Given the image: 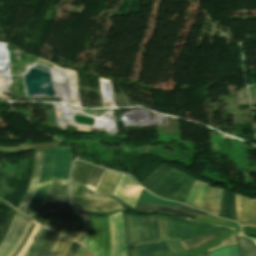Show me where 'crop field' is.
Wrapping results in <instances>:
<instances>
[{"instance_id":"obj_36","label":"crop field","mask_w":256,"mask_h":256,"mask_svg":"<svg viewBox=\"0 0 256 256\" xmlns=\"http://www.w3.org/2000/svg\"><path fill=\"white\" fill-rule=\"evenodd\" d=\"M83 256H94L89 251L85 250Z\"/></svg>"},{"instance_id":"obj_15","label":"crop field","mask_w":256,"mask_h":256,"mask_svg":"<svg viewBox=\"0 0 256 256\" xmlns=\"http://www.w3.org/2000/svg\"><path fill=\"white\" fill-rule=\"evenodd\" d=\"M120 173L105 170L93 195L109 196Z\"/></svg>"},{"instance_id":"obj_1","label":"crop field","mask_w":256,"mask_h":256,"mask_svg":"<svg viewBox=\"0 0 256 256\" xmlns=\"http://www.w3.org/2000/svg\"><path fill=\"white\" fill-rule=\"evenodd\" d=\"M71 154L72 148L66 146L44 149L38 185L24 214L36 219L53 178L68 181Z\"/></svg>"},{"instance_id":"obj_37","label":"crop field","mask_w":256,"mask_h":256,"mask_svg":"<svg viewBox=\"0 0 256 256\" xmlns=\"http://www.w3.org/2000/svg\"><path fill=\"white\" fill-rule=\"evenodd\" d=\"M199 256H209L208 251L203 253V254H201V255H199Z\"/></svg>"},{"instance_id":"obj_27","label":"crop field","mask_w":256,"mask_h":256,"mask_svg":"<svg viewBox=\"0 0 256 256\" xmlns=\"http://www.w3.org/2000/svg\"><path fill=\"white\" fill-rule=\"evenodd\" d=\"M49 231H47L46 229L43 228V230L41 231V233L37 237L32 249L30 250V252L27 256H36L41 244L43 243V241L45 240V238L49 234Z\"/></svg>"},{"instance_id":"obj_2","label":"crop field","mask_w":256,"mask_h":256,"mask_svg":"<svg viewBox=\"0 0 256 256\" xmlns=\"http://www.w3.org/2000/svg\"><path fill=\"white\" fill-rule=\"evenodd\" d=\"M93 169V165L78 162L74 179H70V196L73 208L76 211L93 213H112L124 209L115 198L96 196H80L85 183Z\"/></svg>"},{"instance_id":"obj_26","label":"crop field","mask_w":256,"mask_h":256,"mask_svg":"<svg viewBox=\"0 0 256 256\" xmlns=\"http://www.w3.org/2000/svg\"><path fill=\"white\" fill-rule=\"evenodd\" d=\"M58 234L50 232L49 236L45 240L44 244L42 245L40 251L38 252L37 256H46L49 252L51 246L53 245L56 237Z\"/></svg>"},{"instance_id":"obj_9","label":"crop field","mask_w":256,"mask_h":256,"mask_svg":"<svg viewBox=\"0 0 256 256\" xmlns=\"http://www.w3.org/2000/svg\"><path fill=\"white\" fill-rule=\"evenodd\" d=\"M151 230L154 243L141 244L135 246L137 256H161L169 255V249L166 241L161 242L156 217L152 216Z\"/></svg>"},{"instance_id":"obj_14","label":"crop field","mask_w":256,"mask_h":256,"mask_svg":"<svg viewBox=\"0 0 256 256\" xmlns=\"http://www.w3.org/2000/svg\"><path fill=\"white\" fill-rule=\"evenodd\" d=\"M42 161H43V149H39V150H35V155H34V164H33V170H32V177H31V182L29 184L27 193L19 207L18 210H20L21 212H24L31 196L32 193L36 187L37 184V180H38V176H39V172L41 169V165H42Z\"/></svg>"},{"instance_id":"obj_31","label":"crop field","mask_w":256,"mask_h":256,"mask_svg":"<svg viewBox=\"0 0 256 256\" xmlns=\"http://www.w3.org/2000/svg\"><path fill=\"white\" fill-rule=\"evenodd\" d=\"M122 215H123V220H124L125 235H126V243H127V256H130L129 242H128V236H127L126 223H125V214L122 213Z\"/></svg>"},{"instance_id":"obj_34","label":"crop field","mask_w":256,"mask_h":256,"mask_svg":"<svg viewBox=\"0 0 256 256\" xmlns=\"http://www.w3.org/2000/svg\"><path fill=\"white\" fill-rule=\"evenodd\" d=\"M84 249H85V248H84L83 246H80V248H79V250H78L76 256H82V253H83Z\"/></svg>"},{"instance_id":"obj_12","label":"crop field","mask_w":256,"mask_h":256,"mask_svg":"<svg viewBox=\"0 0 256 256\" xmlns=\"http://www.w3.org/2000/svg\"><path fill=\"white\" fill-rule=\"evenodd\" d=\"M131 232L134 245L140 243L153 242L150 230V216H140L129 215Z\"/></svg>"},{"instance_id":"obj_21","label":"crop field","mask_w":256,"mask_h":256,"mask_svg":"<svg viewBox=\"0 0 256 256\" xmlns=\"http://www.w3.org/2000/svg\"><path fill=\"white\" fill-rule=\"evenodd\" d=\"M170 170H171V168L162 165L154 173H152L145 181H143L140 184V186L149 190L154 184H156Z\"/></svg>"},{"instance_id":"obj_16","label":"crop field","mask_w":256,"mask_h":256,"mask_svg":"<svg viewBox=\"0 0 256 256\" xmlns=\"http://www.w3.org/2000/svg\"><path fill=\"white\" fill-rule=\"evenodd\" d=\"M220 217L230 218L236 220V213L234 207V194L228 191H222L221 199H220Z\"/></svg>"},{"instance_id":"obj_3","label":"crop field","mask_w":256,"mask_h":256,"mask_svg":"<svg viewBox=\"0 0 256 256\" xmlns=\"http://www.w3.org/2000/svg\"><path fill=\"white\" fill-rule=\"evenodd\" d=\"M110 196L116 197L120 203L124 204L133 211L137 202L171 206H176L179 204L162 200L151 195L145 189L139 187L132 177L122 173L120 174Z\"/></svg>"},{"instance_id":"obj_5","label":"crop field","mask_w":256,"mask_h":256,"mask_svg":"<svg viewBox=\"0 0 256 256\" xmlns=\"http://www.w3.org/2000/svg\"><path fill=\"white\" fill-rule=\"evenodd\" d=\"M163 222L167 239L178 237L180 241L219 231L232 230V228L226 226L191 222L169 216H163Z\"/></svg>"},{"instance_id":"obj_11","label":"crop field","mask_w":256,"mask_h":256,"mask_svg":"<svg viewBox=\"0 0 256 256\" xmlns=\"http://www.w3.org/2000/svg\"><path fill=\"white\" fill-rule=\"evenodd\" d=\"M235 207L241 227L251 226L256 228V199H247L235 194Z\"/></svg>"},{"instance_id":"obj_17","label":"crop field","mask_w":256,"mask_h":256,"mask_svg":"<svg viewBox=\"0 0 256 256\" xmlns=\"http://www.w3.org/2000/svg\"><path fill=\"white\" fill-rule=\"evenodd\" d=\"M207 188V184L196 180L185 203L201 209Z\"/></svg>"},{"instance_id":"obj_20","label":"crop field","mask_w":256,"mask_h":256,"mask_svg":"<svg viewBox=\"0 0 256 256\" xmlns=\"http://www.w3.org/2000/svg\"><path fill=\"white\" fill-rule=\"evenodd\" d=\"M233 235L237 241L238 253L240 256H256V246L253 242L246 239L239 231Z\"/></svg>"},{"instance_id":"obj_7","label":"crop field","mask_w":256,"mask_h":256,"mask_svg":"<svg viewBox=\"0 0 256 256\" xmlns=\"http://www.w3.org/2000/svg\"><path fill=\"white\" fill-rule=\"evenodd\" d=\"M85 246L96 256H109L110 233L107 217L88 219Z\"/></svg>"},{"instance_id":"obj_25","label":"crop field","mask_w":256,"mask_h":256,"mask_svg":"<svg viewBox=\"0 0 256 256\" xmlns=\"http://www.w3.org/2000/svg\"><path fill=\"white\" fill-rule=\"evenodd\" d=\"M209 253L210 256H239L237 253L236 245L225 246Z\"/></svg>"},{"instance_id":"obj_35","label":"crop field","mask_w":256,"mask_h":256,"mask_svg":"<svg viewBox=\"0 0 256 256\" xmlns=\"http://www.w3.org/2000/svg\"><path fill=\"white\" fill-rule=\"evenodd\" d=\"M76 163H77V161H74V162H73V168H72V172H71V176H70V178H73V176H74Z\"/></svg>"},{"instance_id":"obj_8","label":"crop field","mask_w":256,"mask_h":256,"mask_svg":"<svg viewBox=\"0 0 256 256\" xmlns=\"http://www.w3.org/2000/svg\"><path fill=\"white\" fill-rule=\"evenodd\" d=\"M31 219L16 213L9 231L0 246V256H10L20 242Z\"/></svg>"},{"instance_id":"obj_32","label":"crop field","mask_w":256,"mask_h":256,"mask_svg":"<svg viewBox=\"0 0 256 256\" xmlns=\"http://www.w3.org/2000/svg\"><path fill=\"white\" fill-rule=\"evenodd\" d=\"M179 208L206 215V212H202V211H199V210H196V209H192V208L186 207L182 204L179 206Z\"/></svg>"},{"instance_id":"obj_38","label":"crop field","mask_w":256,"mask_h":256,"mask_svg":"<svg viewBox=\"0 0 256 256\" xmlns=\"http://www.w3.org/2000/svg\"><path fill=\"white\" fill-rule=\"evenodd\" d=\"M254 241H256V238H252Z\"/></svg>"},{"instance_id":"obj_13","label":"crop field","mask_w":256,"mask_h":256,"mask_svg":"<svg viewBox=\"0 0 256 256\" xmlns=\"http://www.w3.org/2000/svg\"><path fill=\"white\" fill-rule=\"evenodd\" d=\"M66 183V181L54 179L42 207L56 209L57 206H61L71 208L69 196L61 195Z\"/></svg>"},{"instance_id":"obj_6","label":"crop field","mask_w":256,"mask_h":256,"mask_svg":"<svg viewBox=\"0 0 256 256\" xmlns=\"http://www.w3.org/2000/svg\"><path fill=\"white\" fill-rule=\"evenodd\" d=\"M193 182L194 179L173 169L149 191L164 198L184 203Z\"/></svg>"},{"instance_id":"obj_28","label":"crop field","mask_w":256,"mask_h":256,"mask_svg":"<svg viewBox=\"0 0 256 256\" xmlns=\"http://www.w3.org/2000/svg\"><path fill=\"white\" fill-rule=\"evenodd\" d=\"M35 224H36V222L31 221V223H30V225H29V227H28V229H27V231H26V233H25L23 239L21 240L20 244L18 245V247L15 249V251L12 253L11 256H17V255H18V253L20 252V250H21V249L23 248V246L26 244V242H27V240H28V238H29V236H30V234H31V232H32V230H33Z\"/></svg>"},{"instance_id":"obj_18","label":"crop field","mask_w":256,"mask_h":256,"mask_svg":"<svg viewBox=\"0 0 256 256\" xmlns=\"http://www.w3.org/2000/svg\"><path fill=\"white\" fill-rule=\"evenodd\" d=\"M136 210L171 213V214H174V216H176V217L188 218V219H192V220H194L195 216H196L195 214L176 210V208L156 206V205H150V204H142V203L137 204Z\"/></svg>"},{"instance_id":"obj_30","label":"crop field","mask_w":256,"mask_h":256,"mask_svg":"<svg viewBox=\"0 0 256 256\" xmlns=\"http://www.w3.org/2000/svg\"><path fill=\"white\" fill-rule=\"evenodd\" d=\"M42 228H43V227L39 226V228H38V230H37V232H36V234H35V236H34L32 242H31L30 246L27 248V250L25 251V253L23 254V256H26V255L28 254L29 250L31 249V247H32V245H33V243H34L36 237L38 236V234L40 233V231L42 230Z\"/></svg>"},{"instance_id":"obj_33","label":"crop field","mask_w":256,"mask_h":256,"mask_svg":"<svg viewBox=\"0 0 256 256\" xmlns=\"http://www.w3.org/2000/svg\"><path fill=\"white\" fill-rule=\"evenodd\" d=\"M60 237H61V235L59 234L58 237H57V239H56V241H55V243H54V245H53V247L51 248V250H50L48 256H52V254H53V252H54V250H55V247H56V245H57V243H58Z\"/></svg>"},{"instance_id":"obj_23","label":"crop field","mask_w":256,"mask_h":256,"mask_svg":"<svg viewBox=\"0 0 256 256\" xmlns=\"http://www.w3.org/2000/svg\"><path fill=\"white\" fill-rule=\"evenodd\" d=\"M104 169L94 167L82 195H92Z\"/></svg>"},{"instance_id":"obj_4","label":"crop field","mask_w":256,"mask_h":256,"mask_svg":"<svg viewBox=\"0 0 256 256\" xmlns=\"http://www.w3.org/2000/svg\"><path fill=\"white\" fill-rule=\"evenodd\" d=\"M43 226L70 236L82 244L84 242L86 223L72 209L58 207L57 210H51Z\"/></svg>"},{"instance_id":"obj_19","label":"crop field","mask_w":256,"mask_h":256,"mask_svg":"<svg viewBox=\"0 0 256 256\" xmlns=\"http://www.w3.org/2000/svg\"><path fill=\"white\" fill-rule=\"evenodd\" d=\"M221 191V189L209 187L202 209L217 215L219 210V198Z\"/></svg>"},{"instance_id":"obj_24","label":"crop field","mask_w":256,"mask_h":256,"mask_svg":"<svg viewBox=\"0 0 256 256\" xmlns=\"http://www.w3.org/2000/svg\"><path fill=\"white\" fill-rule=\"evenodd\" d=\"M72 239L62 235L53 256H65Z\"/></svg>"},{"instance_id":"obj_10","label":"crop field","mask_w":256,"mask_h":256,"mask_svg":"<svg viewBox=\"0 0 256 256\" xmlns=\"http://www.w3.org/2000/svg\"><path fill=\"white\" fill-rule=\"evenodd\" d=\"M111 228V256H126L121 212L108 215Z\"/></svg>"},{"instance_id":"obj_22","label":"crop field","mask_w":256,"mask_h":256,"mask_svg":"<svg viewBox=\"0 0 256 256\" xmlns=\"http://www.w3.org/2000/svg\"><path fill=\"white\" fill-rule=\"evenodd\" d=\"M217 236H219V233L206 235V236L198 237V238L187 240V241H182L181 244L186 249V251H190V250H194L197 247H199L200 245L216 238Z\"/></svg>"},{"instance_id":"obj_29","label":"crop field","mask_w":256,"mask_h":256,"mask_svg":"<svg viewBox=\"0 0 256 256\" xmlns=\"http://www.w3.org/2000/svg\"><path fill=\"white\" fill-rule=\"evenodd\" d=\"M80 244H78L76 241L73 240L66 256H75Z\"/></svg>"}]
</instances>
